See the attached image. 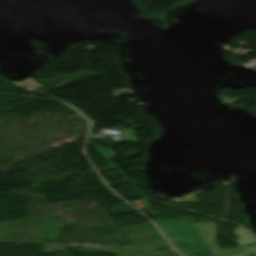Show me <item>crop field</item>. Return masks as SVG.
I'll return each mask as SVG.
<instances>
[{
  "instance_id": "crop-field-1",
  "label": "crop field",
  "mask_w": 256,
  "mask_h": 256,
  "mask_svg": "<svg viewBox=\"0 0 256 256\" xmlns=\"http://www.w3.org/2000/svg\"><path fill=\"white\" fill-rule=\"evenodd\" d=\"M173 245L181 247L184 256H210L201 246L189 218L156 222Z\"/></svg>"
},
{
  "instance_id": "crop-field-2",
  "label": "crop field",
  "mask_w": 256,
  "mask_h": 256,
  "mask_svg": "<svg viewBox=\"0 0 256 256\" xmlns=\"http://www.w3.org/2000/svg\"><path fill=\"white\" fill-rule=\"evenodd\" d=\"M204 246L210 248L212 256H246L250 252H256V236L240 227L234 232L241 236L236 240L241 248L219 250L213 241L215 226L212 222L194 225Z\"/></svg>"
}]
</instances>
